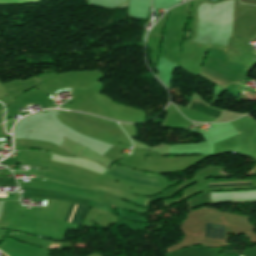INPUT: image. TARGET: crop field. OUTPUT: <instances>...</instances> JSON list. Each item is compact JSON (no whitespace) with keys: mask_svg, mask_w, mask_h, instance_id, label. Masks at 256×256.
Returning a JSON list of instances; mask_svg holds the SVG:
<instances>
[{"mask_svg":"<svg viewBox=\"0 0 256 256\" xmlns=\"http://www.w3.org/2000/svg\"><path fill=\"white\" fill-rule=\"evenodd\" d=\"M107 175L128 182L133 185L159 189V183L155 175H147L138 173L129 169H125L114 165L105 171Z\"/></svg>","mask_w":256,"mask_h":256,"instance_id":"crop-field-1","label":"crop field"},{"mask_svg":"<svg viewBox=\"0 0 256 256\" xmlns=\"http://www.w3.org/2000/svg\"><path fill=\"white\" fill-rule=\"evenodd\" d=\"M255 136H256V122L247 118L239 134L235 151L250 154Z\"/></svg>","mask_w":256,"mask_h":256,"instance_id":"crop-field-2","label":"crop field"},{"mask_svg":"<svg viewBox=\"0 0 256 256\" xmlns=\"http://www.w3.org/2000/svg\"><path fill=\"white\" fill-rule=\"evenodd\" d=\"M73 206H74V204L71 205L70 210H69V213H68L67 218H66L65 221H68ZM75 206H76V205H75ZM75 206H74V208H75ZM74 208H73V211H74ZM88 209H89L88 207H83V206L77 205L76 208H75V211H74L73 216H72V214H71L72 219H71V216H70L71 221H70V219H69V221L72 222V223L81 224V223H82L83 216H84L85 212H86ZM73 211H72V213H73ZM69 221H68V222H69Z\"/></svg>","mask_w":256,"mask_h":256,"instance_id":"crop-field-3","label":"crop field"},{"mask_svg":"<svg viewBox=\"0 0 256 256\" xmlns=\"http://www.w3.org/2000/svg\"><path fill=\"white\" fill-rule=\"evenodd\" d=\"M225 226L207 224L202 236L219 239Z\"/></svg>","mask_w":256,"mask_h":256,"instance_id":"crop-field-4","label":"crop field"},{"mask_svg":"<svg viewBox=\"0 0 256 256\" xmlns=\"http://www.w3.org/2000/svg\"><path fill=\"white\" fill-rule=\"evenodd\" d=\"M191 109H195V110H198V111H201V112H204V113H207V114H210L216 118H218L219 116V111H215V110H212L208 107H206L204 104L202 103H198V102H192V105L190 107Z\"/></svg>","mask_w":256,"mask_h":256,"instance_id":"crop-field-5","label":"crop field"},{"mask_svg":"<svg viewBox=\"0 0 256 256\" xmlns=\"http://www.w3.org/2000/svg\"><path fill=\"white\" fill-rule=\"evenodd\" d=\"M243 186H252V184H251V183H231V184H215V185H208L209 188L243 187Z\"/></svg>","mask_w":256,"mask_h":256,"instance_id":"crop-field-6","label":"crop field"},{"mask_svg":"<svg viewBox=\"0 0 256 256\" xmlns=\"http://www.w3.org/2000/svg\"><path fill=\"white\" fill-rule=\"evenodd\" d=\"M2 116H3V110L0 111V123H1Z\"/></svg>","mask_w":256,"mask_h":256,"instance_id":"crop-field-7","label":"crop field"}]
</instances>
